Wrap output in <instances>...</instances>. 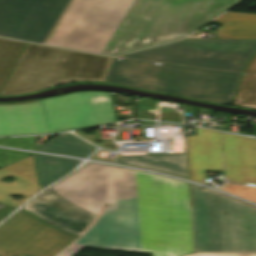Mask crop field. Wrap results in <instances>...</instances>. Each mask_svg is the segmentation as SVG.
I'll list each match as a JSON object with an SVG mask.
<instances>
[{
    "mask_svg": "<svg viewBox=\"0 0 256 256\" xmlns=\"http://www.w3.org/2000/svg\"><path fill=\"white\" fill-rule=\"evenodd\" d=\"M105 203L89 231L58 256H72L84 246L151 256L193 253L189 184L176 179L87 163L21 209L80 236Z\"/></svg>",
    "mask_w": 256,
    "mask_h": 256,
    "instance_id": "1",
    "label": "crop field"
},
{
    "mask_svg": "<svg viewBox=\"0 0 256 256\" xmlns=\"http://www.w3.org/2000/svg\"><path fill=\"white\" fill-rule=\"evenodd\" d=\"M241 0H135L103 54L176 40Z\"/></svg>",
    "mask_w": 256,
    "mask_h": 256,
    "instance_id": "2",
    "label": "crop field"
},
{
    "mask_svg": "<svg viewBox=\"0 0 256 256\" xmlns=\"http://www.w3.org/2000/svg\"><path fill=\"white\" fill-rule=\"evenodd\" d=\"M50 133L116 121L107 92H75L33 102L0 104V136Z\"/></svg>",
    "mask_w": 256,
    "mask_h": 256,
    "instance_id": "3",
    "label": "crop field"
},
{
    "mask_svg": "<svg viewBox=\"0 0 256 256\" xmlns=\"http://www.w3.org/2000/svg\"><path fill=\"white\" fill-rule=\"evenodd\" d=\"M113 58L104 82L229 105L241 73Z\"/></svg>",
    "mask_w": 256,
    "mask_h": 256,
    "instance_id": "4",
    "label": "crop field"
},
{
    "mask_svg": "<svg viewBox=\"0 0 256 256\" xmlns=\"http://www.w3.org/2000/svg\"><path fill=\"white\" fill-rule=\"evenodd\" d=\"M194 253H256V207L190 184Z\"/></svg>",
    "mask_w": 256,
    "mask_h": 256,
    "instance_id": "5",
    "label": "crop field"
},
{
    "mask_svg": "<svg viewBox=\"0 0 256 256\" xmlns=\"http://www.w3.org/2000/svg\"><path fill=\"white\" fill-rule=\"evenodd\" d=\"M108 61V57L26 43L0 95L32 93L65 81L102 79Z\"/></svg>",
    "mask_w": 256,
    "mask_h": 256,
    "instance_id": "6",
    "label": "crop field"
},
{
    "mask_svg": "<svg viewBox=\"0 0 256 256\" xmlns=\"http://www.w3.org/2000/svg\"><path fill=\"white\" fill-rule=\"evenodd\" d=\"M134 0H72L46 44L102 54Z\"/></svg>",
    "mask_w": 256,
    "mask_h": 256,
    "instance_id": "7",
    "label": "crop field"
},
{
    "mask_svg": "<svg viewBox=\"0 0 256 256\" xmlns=\"http://www.w3.org/2000/svg\"><path fill=\"white\" fill-rule=\"evenodd\" d=\"M255 51L256 40H182L120 57L241 72Z\"/></svg>",
    "mask_w": 256,
    "mask_h": 256,
    "instance_id": "8",
    "label": "crop field"
},
{
    "mask_svg": "<svg viewBox=\"0 0 256 256\" xmlns=\"http://www.w3.org/2000/svg\"><path fill=\"white\" fill-rule=\"evenodd\" d=\"M69 0H0V36L43 44Z\"/></svg>",
    "mask_w": 256,
    "mask_h": 256,
    "instance_id": "9",
    "label": "crop field"
},
{
    "mask_svg": "<svg viewBox=\"0 0 256 256\" xmlns=\"http://www.w3.org/2000/svg\"><path fill=\"white\" fill-rule=\"evenodd\" d=\"M76 238L19 210L0 226V256H54Z\"/></svg>",
    "mask_w": 256,
    "mask_h": 256,
    "instance_id": "10",
    "label": "crop field"
},
{
    "mask_svg": "<svg viewBox=\"0 0 256 256\" xmlns=\"http://www.w3.org/2000/svg\"><path fill=\"white\" fill-rule=\"evenodd\" d=\"M196 136H186L189 180L204 182L205 171H224L220 133L195 128Z\"/></svg>",
    "mask_w": 256,
    "mask_h": 256,
    "instance_id": "11",
    "label": "crop field"
},
{
    "mask_svg": "<svg viewBox=\"0 0 256 256\" xmlns=\"http://www.w3.org/2000/svg\"><path fill=\"white\" fill-rule=\"evenodd\" d=\"M222 152L227 178L256 184V139L223 134Z\"/></svg>",
    "mask_w": 256,
    "mask_h": 256,
    "instance_id": "12",
    "label": "crop field"
},
{
    "mask_svg": "<svg viewBox=\"0 0 256 256\" xmlns=\"http://www.w3.org/2000/svg\"><path fill=\"white\" fill-rule=\"evenodd\" d=\"M8 175H13L16 179L12 184L0 182L1 203L17 208L39 191L32 156L0 169V181ZM14 194L25 197L20 202H17L10 197V195Z\"/></svg>",
    "mask_w": 256,
    "mask_h": 256,
    "instance_id": "13",
    "label": "crop field"
},
{
    "mask_svg": "<svg viewBox=\"0 0 256 256\" xmlns=\"http://www.w3.org/2000/svg\"><path fill=\"white\" fill-rule=\"evenodd\" d=\"M112 162L151 169L188 179L186 154L120 156Z\"/></svg>",
    "mask_w": 256,
    "mask_h": 256,
    "instance_id": "14",
    "label": "crop field"
},
{
    "mask_svg": "<svg viewBox=\"0 0 256 256\" xmlns=\"http://www.w3.org/2000/svg\"><path fill=\"white\" fill-rule=\"evenodd\" d=\"M214 22L224 23L216 30L220 39H256V15L226 12Z\"/></svg>",
    "mask_w": 256,
    "mask_h": 256,
    "instance_id": "15",
    "label": "crop field"
},
{
    "mask_svg": "<svg viewBox=\"0 0 256 256\" xmlns=\"http://www.w3.org/2000/svg\"><path fill=\"white\" fill-rule=\"evenodd\" d=\"M39 188L42 189L77 166V160L33 154Z\"/></svg>",
    "mask_w": 256,
    "mask_h": 256,
    "instance_id": "16",
    "label": "crop field"
},
{
    "mask_svg": "<svg viewBox=\"0 0 256 256\" xmlns=\"http://www.w3.org/2000/svg\"><path fill=\"white\" fill-rule=\"evenodd\" d=\"M94 149L71 134H62L43 144L38 150L87 157Z\"/></svg>",
    "mask_w": 256,
    "mask_h": 256,
    "instance_id": "17",
    "label": "crop field"
},
{
    "mask_svg": "<svg viewBox=\"0 0 256 256\" xmlns=\"http://www.w3.org/2000/svg\"><path fill=\"white\" fill-rule=\"evenodd\" d=\"M244 72L256 73V55ZM236 106L256 110V75L244 73L233 103Z\"/></svg>",
    "mask_w": 256,
    "mask_h": 256,
    "instance_id": "18",
    "label": "crop field"
},
{
    "mask_svg": "<svg viewBox=\"0 0 256 256\" xmlns=\"http://www.w3.org/2000/svg\"><path fill=\"white\" fill-rule=\"evenodd\" d=\"M25 43L0 38V89Z\"/></svg>",
    "mask_w": 256,
    "mask_h": 256,
    "instance_id": "19",
    "label": "crop field"
},
{
    "mask_svg": "<svg viewBox=\"0 0 256 256\" xmlns=\"http://www.w3.org/2000/svg\"><path fill=\"white\" fill-rule=\"evenodd\" d=\"M256 203V188L233 183H224L223 187H215Z\"/></svg>",
    "mask_w": 256,
    "mask_h": 256,
    "instance_id": "20",
    "label": "crop field"
},
{
    "mask_svg": "<svg viewBox=\"0 0 256 256\" xmlns=\"http://www.w3.org/2000/svg\"><path fill=\"white\" fill-rule=\"evenodd\" d=\"M0 145L37 150L33 137L0 138Z\"/></svg>",
    "mask_w": 256,
    "mask_h": 256,
    "instance_id": "21",
    "label": "crop field"
},
{
    "mask_svg": "<svg viewBox=\"0 0 256 256\" xmlns=\"http://www.w3.org/2000/svg\"><path fill=\"white\" fill-rule=\"evenodd\" d=\"M29 155L31 154L0 149V168Z\"/></svg>",
    "mask_w": 256,
    "mask_h": 256,
    "instance_id": "22",
    "label": "crop field"
},
{
    "mask_svg": "<svg viewBox=\"0 0 256 256\" xmlns=\"http://www.w3.org/2000/svg\"><path fill=\"white\" fill-rule=\"evenodd\" d=\"M187 256H256V254H191Z\"/></svg>",
    "mask_w": 256,
    "mask_h": 256,
    "instance_id": "23",
    "label": "crop field"
},
{
    "mask_svg": "<svg viewBox=\"0 0 256 256\" xmlns=\"http://www.w3.org/2000/svg\"><path fill=\"white\" fill-rule=\"evenodd\" d=\"M4 206H6V205H2V204H0V208H2V207H4Z\"/></svg>",
    "mask_w": 256,
    "mask_h": 256,
    "instance_id": "24",
    "label": "crop field"
}]
</instances>
